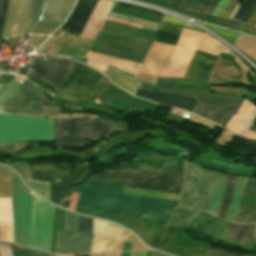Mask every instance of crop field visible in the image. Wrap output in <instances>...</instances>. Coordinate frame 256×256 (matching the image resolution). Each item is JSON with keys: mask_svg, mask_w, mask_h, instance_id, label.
<instances>
[{"mask_svg": "<svg viewBox=\"0 0 256 256\" xmlns=\"http://www.w3.org/2000/svg\"><path fill=\"white\" fill-rule=\"evenodd\" d=\"M175 226L170 224H165L153 243L151 244L152 247H155L161 251H163L167 241L169 240Z\"/></svg>", "mask_w": 256, "mask_h": 256, "instance_id": "37", "label": "crop field"}, {"mask_svg": "<svg viewBox=\"0 0 256 256\" xmlns=\"http://www.w3.org/2000/svg\"><path fill=\"white\" fill-rule=\"evenodd\" d=\"M10 249L13 256H55L53 254L34 252L28 249L18 248L14 246H10Z\"/></svg>", "mask_w": 256, "mask_h": 256, "instance_id": "47", "label": "crop field"}, {"mask_svg": "<svg viewBox=\"0 0 256 256\" xmlns=\"http://www.w3.org/2000/svg\"><path fill=\"white\" fill-rule=\"evenodd\" d=\"M183 28L160 23L153 40L175 45Z\"/></svg>", "mask_w": 256, "mask_h": 256, "instance_id": "27", "label": "crop field"}, {"mask_svg": "<svg viewBox=\"0 0 256 256\" xmlns=\"http://www.w3.org/2000/svg\"><path fill=\"white\" fill-rule=\"evenodd\" d=\"M255 118L256 107L251 102L244 99L238 112L229 120L225 128L235 135L244 137ZM245 138L256 140V132L248 130Z\"/></svg>", "mask_w": 256, "mask_h": 256, "instance_id": "14", "label": "crop field"}, {"mask_svg": "<svg viewBox=\"0 0 256 256\" xmlns=\"http://www.w3.org/2000/svg\"><path fill=\"white\" fill-rule=\"evenodd\" d=\"M241 102L201 95L193 113L219 124H226Z\"/></svg>", "mask_w": 256, "mask_h": 256, "instance_id": "9", "label": "crop field"}, {"mask_svg": "<svg viewBox=\"0 0 256 256\" xmlns=\"http://www.w3.org/2000/svg\"><path fill=\"white\" fill-rule=\"evenodd\" d=\"M210 0H201V2L198 4V6L195 8L196 11L203 12L206 5L208 4Z\"/></svg>", "mask_w": 256, "mask_h": 256, "instance_id": "65", "label": "crop field"}, {"mask_svg": "<svg viewBox=\"0 0 256 256\" xmlns=\"http://www.w3.org/2000/svg\"><path fill=\"white\" fill-rule=\"evenodd\" d=\"M81 139L91 138L90 120L80 119Z\"/></svg>", "mask_w": 256, "mask_h": 256, "instance_id": "54", "label": "crop field"}, {"mask_svg": "<svg viewBox=\"0 0 256 256\" xmlns=\"http://www.w3.org/2000/svg\"><path fill=\"white\" fill-rule=\"evenodd\" d=\"M229 2V0H220L214 10L211 12L212 15L219 16L225 5Z\"/></svg>", "mask_w": 256, "mask_h": 256, "instance_id": "61", "label": "crop field"}, {"mask_svg": "<svg viewBox=\"0 0 256 256\" xmlns=\"http://www.w3.org/2000/svg\"><path fill=\"white\" fill-rule=\"evenodd\" d=\"M238 0H230V2L227 4V6L224 8L222 13L220 14L221 17L228 18L234 7L236 6Z\"/></svg>", "mask_w": 256, "mask_h": 256, "instance_id": "60", "label": "crop field"}, {"mask_svg": "<svg viewBox=\"0 0 256 256\" xmlns=\"http://www.w3.org/2000/svg\"><path fill=\"white\" fill-rule=\"evenodd\" d=\"M95 198L96 195L80 193L75 211L92 216Z\"/></svg>", "mask_w": 256, "mask_h": 256, "instance_id": "34", "label": "crop field"}, {"mask_svg": "<svg viewBox=\"0 0 256 256\" xmlns=\"http://www.w3.org/2000/svg\"><path fill=\"white\" fill-rule=\"evenodd\" d=\"M112 125L102 121L91 120L92 140L102 139L103 135L110 130Z\"/></svg>", "mask_w": 256, "mask_h": 256, "instance_id": "42", "label": "crop field"}, {"mask_svg": "<svg viewBox=\"0 0 256 256\" xmlns=\"http://www.w3.org/2000/svg\"><path fill=\"white\" fill-rule=\"evenodd\" d=\"M116 5L121 6V7L130 8V9H132L134 11H138V12L149 13V14L160 16V17L162 16L161 13L153 11V10H149V9H146V8L136 7V6L120 3V2H117Z\"/></svg>", "mask_w": 256, "mask_h": 256, "instance_id": "55", "label": "crop field"}, {"mask_svg": "<svg viewBox=\"0 0 256 256\" xmlns=\"http://www.w3.org/2000/svg\"><path fill=\"white\" fill-rule=\"evenodd\" d=\"M85 168L78 165L75 174L62 182H51V201L60 205L61 204V188L72 184L80 179Z\"/></svg>", "mask_w": 256, "mask_h": 256, "instance_id": "28", "label": "crop field"}, {"mask_svg": "<svg viewBox=\"0 0 256 256\" xmlns=\"http://www.w3.org/2000/svg\"><path fill=\"white\" fill-rule=\"evenodd\" d=\"M156 221L155 218L148 217L146 215L143 216V218L139 221V223L134 227L133 231L141 238H145L147 233L149 232L150 228Z\"/></svg>", "mask_w": 256, "mask_h": 256, "instance_id": "40", "label": "crop field"}, {"mask_svg": "<svg viewBox=\"0 0 256 256\" xmlns=\"http://www.w3.org/2000/svg\"><path fill=\"white\" fill-rule=\"evenodd\" d=\"M41 105L59 106L47 101L31 82L24 80L3 112L39 116Z\"/></svg>", "mask_w": 256, "mask_h": 256, "instance_id": "7", "label": "crop field"}, {"mask_svg": "<svg viewBox=\"0 0 256 256\" xmlns=\"http://www.w3.org/2000/svg\"><path fill=\"white\" fill-rule=\"evenodd\" d=\"M163 223H164V221L157 219V221L155 222V224L153 225V227L151 228L150 232L148 233V235L146 236V238L144 239L143 242H145L146 244H148L150 246L151 242L155 238L159 229L162 227Z\"/></svg>", "mask_w": 256, "mask_h": 256, "instance_id": "50", "label": "crop field"}, {"mask_svg": "<svg viewBox=\"0 0 256 256\" xmlns=\"http://www.w3.org/2000/svg\"><path fill=\"white\" fill-rule=\"evenodd\" d=\"M74 0H41L36 21L62 22Z\"/></svg>", "mask_w": 256, "mask_h": 256, "instance_id": "16", "label": "crop field"}, {"mask_svg": "<svg viewBox=\"0 0 256 256\" xmlns=\"http://www.w3.org/2000/svg\"><path fill=\"white\" fill-rule=\"evenodd\" d=\"M74 64L75 61L68 58L50 56L48 63L38 64L30 78L51 86L52 90L57 92Z\"/></svg>", "mask_w": 256, "mask_h": 256, "instance_id": "11", "label": "crop field"}, {"mask_svg": "<svg viewBox=\"0 0 256 256\" xmlns=\"http://www.w3.org/2000/svg\"><path fill=\"white\" fill-rule=\"evenodd\" d=\"M236 178L237 177H233V176L229 175L228 180H227L224 196L222 199V203H221V207H220V211H219V215H218L219 217H221L223 219L226 218V214L228 211V207H229V203H230L231 196L233 193Z\"/></svg>", "mask_w": 256, "mask_h": 256, "instance_id": "35", "label": "crop field"}, {"mask_svg": "<svg viewBox=\"0 0 256 256\" xmlns=\"http://www.w3.org/2000/svg\"><path fill=\"white\" fill-rule=\"evenodd\" d=\"M94 177L118 182L125 184L124 187L176 193L179 194L181 184L161 182V181H150V180H135V179H120V178H111L103 175L94 174Z\"/></svg>", "mask_w": 256, "mask_h": 256, "instance_id": "19", "label": "crop field"}, {"mask_svg": "<svg viewBox=\"0 0 256 256\" xmlns=\"http://www.w3.org/2000/svg\"><path fill=\"white\" fill-rule=\"evenodd\" d=\"M184 169L185 177L179 206L206 212L217 172L208 171L187 160H184Z\"/></svg>", "mask_w": 256, "mask_h": 256, "instance_id": "4", "label": "crop field"}, {"mask_svg": "<svg viewBox=\"0 0 256 256\" xmlns=\"http://www.w3.org/2000/svg\"><path fill=\"white\" fill-rule=\"evenodd\" d=\"M192 210L189 209H181L174 207L171 215L167 219V222L178 225L180 227L185 228L187 221L191 215Z\"/></svg>", "mask_w": 256, "mask_h": 256, "instance_id": "36", "label": "crop field"}, {"mask_svg": "<svg viewBox=\"0 0 256 256\" xmlns=\"http://www.w3.org/2000/svg\"><path fill=\"white\" fill-rule=\"evenodd\" d=\"M122 193L139 195V196H147V197H156V198H164L170 200L178 201L179 195L175 194H167V193H159V192H151V191H143V190H135V189H127L123 188Z\"/></svg>", "mask_w": 256, "mask_h": 256, "instance_id": "39", "label": "crop field"}, {"mask_svg": "<svg viewBox=\"0 0 256 256\" xmlns=\"http://www.w3.org/2000/svg\"><path fill=\"white\" fill-rule=\"evenodd\" d=\"M197 23H199V22H197ZM199 24H201L204 27L210 29L211 31L215 32L216 34L222 36L228 42H230L232 45H233L235 39L238 36V33H235V32H231V31H228V30H225V29H222V28H218V27L207 25V24H203V23H199Z\"/></svg>", "mask_w": 256, "mask_h": 256, "instance_id": "43", "label": "crop field"}, {"mask_svg": "<svg viewBox=\"0 0 256 256\" xmlns=\"http://www.w3.org/2000/svg\"><path fill=\"white\" fill-rule=\"evenodd\" d=\"M92 236L77 233V215L66 211L65 232L59 231L56 253H89Z\"/></svg>", "mask_w": 256, "mask_h": 256, "instance_id": "8", "label": "crop field"}, {"mask_svg": "<svg viewBox=\"0 0 256 256\" xmlns=\"http://www.w3.org/2000/svg\"><path fill=\"white\" fill-rule=\"evenodd\" d=\"M250 130L256 131V123L253 122L252 126L250 127Z\"/></svg>", "mask_w": 256, "mask_h": 256, "instance_id": "71", "label": "crop field"}, {"mask_svg": "<svg viewBox=\"0 0 256 256\" xmlns=\"http://www.w3.org/2000/svg\"><path fill=\"white\" fill-rule=\"evenodd\" d=\"M0 240L14 243L11 198L0 199Z\"/></svg>", "mask_w": 256, "mask_h": 256, "instance_id": "25", "label": "crop field"}, {"mask_svg": "<svg viewBox=\"0 0 256 256\" xmlns=\"http://www.w3.org/2000/svg\"><path fill=\"white\" fill-rule=\"evenodd\" d=\"M87 141L90 140H60L55 139L57 145L73 146V147H83L86 146Z\"/></svg>", "mask_w": 256, "mask_h": 256, "instance_id": "51", "label": "crop field"}, {"mask_svg": "<svg viewBox=\"0 0 256 256\" xmlns=\"http://www.w3.org/2000/svg\"><path fill=\"white\" fill-rule=\"evenodd\" d=\"M130 252L121 253L120 256H128Z\"/></svg>", "mask_w": 256, "mask_h": 256, "instance_id": "73", "label": "crop field"}, {"mask_svg": "<svg viewBox=\"0 0 256 256\" xmlns=\"http://www.w3.org/2000/svg\"><path fill=\"white\" fill-rule=\"evenodd\" d=\"M241 31L256 36V28L242 25Z\"/></svg>", "mask_w": 256, "mask_h": 256, "instance_id": "63", "label": "crop field"}, {"mask_svg": "<svg viewBox=\"0 0 256 256\" xmlns=\"http://www.w3.org/2000/svg\"><path fill=\"white\" fill-rule=\"evenodd\" d=\"M103 175L120 178L150 179L181 183L182 175L151 172V171H126V172H103Z\"/></svg>", "mask_w": 256, "mask_h": 256, "instance_id": "23", "label": "crop field"}, {"mask_svg": "<svg viewBox=\"0 0 256 256\" xmlns=\"http://www.w3.org/2000/svg\"><path fill=\"white\" fill-rule=\"evenodd\" d=\"M189 2H190V0H182V2L179 4V7L186 9Z\"/></svg>", "mask_w": 256, "mask_h": 256, "instance_id": "69", "label": "crop field"}, {"mask_svg": "<svg viewBox=\"0 0 256 256\" xmlns=\"http://www.w3.org/2000/svg\"><path fill=\"white\" fill-rule=\"evenodd\" d=\"M55 138L68 139L67 119H54Z\"/></svg>", "mask_w": 256, "mask_h": 256, "instance_id": "45", "label": "crop field"}, {"mask_svg": "<svg viewBox=\"0 0 256 256\" xmlns=\"http://www.w3.org/2000/svg\"><path fill=\"white\" fill-rule=\"evenodd\" d=\"M24 180L30 188L48 198L49 182L27 179Z\"/></svg>", "mask_w": 256, "mask_h": 256, "instance_id": "44", "label": "crop field"}, {"mask_svg": "<svg viewBox=\"0 0 256 256\" xmlns=\"http://www.w3.org/2000/svg\"><path fill=\"white\" fill-rule=\"evenodd\" d=\"M158 256H168V255H165V254L159 252Z\"/></svg>", "mask_w": 256, "mask_h": 256, "instance_id": "74", "label": "crop field"}, {"mask_svg": "<svg viewBox=\"0 0 256 256\" xmlns=\"http://www.w3.org/2000/svg\"><path fill=\"white\" fill-rule=\"evenodd\" d=\"M203 33L183 29L162 76L183 78Z\"/></svg>", "mask_w": 256, "mask_h": 256, "instance_id": "6", "label": "crop field"}, {"mask_svg": "<svg viewBox=\"0 0 256 256\" xmlns=\"http://www.w3.org/2000/svg\"><path fill=\"white\" fill-rule=\"evenodd\" d=\"M65 211L54 207L50 252L55 253L58 230L64 231Z\"/></svg>", "mask_w": 256, "mask_h": 256, "instance_id": "31", "label": "crop field"}, {"mask_svg": "<svg viewBox=\"0 0 256 256\" xmlns=\"http://www.w3.org/2000/svg\"><path fill=\"white\" fill-rule=\"evenodd\" d=\"M177 204L175 201L122 194L118 206L166 221Z\"/></svg>", "mask_w": 256, "mask_h": 256, "instance_id": "10", "label": "crop field"}, {"mask_svg": "<svg viewBox=\"0 0 256 256\" xmlns=\"http://www.w3.org/2000/svg\"><path fill=\"white\" fill-rule=\"evenodd\" d=\"M254 226L255 225H240L230 222L227 236L251 240Z\"/></svg>", "mask_w": 256, "mask_h": 256, "instance_id": "33", "label": "crop field"}, {"mask_svg": "<svg viewBox=\"0 0 256 256\" xmlns=\"http://www.w3.org/2000/svg\"><path fill=\"white\" fill-rule=\"evenodd\" d=\"M135 96L192 112L196 99L169 95L138 87Z\"/></svg>", "mask_w": 256, "mask_h": 256, "instance_id": "17", "label": "crop field"}, {"mask_svg": "<svg viewBox=\"0 0 256 256\" xmlns=\"http://www.w3.org/2000/svg\"><path fill=\"white\" fill-rule=\"evenodd\" d=\"M33 170H42V171H52V172H61L59 168L53 163L45 164H31Z\"/></svg>", "mask_w": 256, "mask_h": 256, "instance_id": "53", "label": "crop field"}, {"mask_svg": "<svg viewBox=\"0 0 256 256\" xmlns=\"http://www.w3.org/2000/svg\"><path fill=\"white\" fill-rule=\"evenodd\" d=\"M13 172V171H12ZM10 171L15 243L27 247L29 191ZM9 169L0 165V198L11 197ZM53 205L32 193L28 247L49 251Z\"/></svg>", "mask_w": 256, "mask_h": 256, "instance_id": "1", "label": "crop field"}, {"mask_svg": "<svg viewBox=\"0 0 256 256\" xmlns=\"http://www.w3.org/2000/svg\"><path fill=\"white\" fill-rule=\"evenodd\" d=\"M97 1L98 0H78L66 23L60 30L80 36Z\"/></svg>", "mask_w": 256, "mask_h": 256, "instance_id": "15", "label": "crop field"}, {"mask_svg": "<svg viewBox=\"0 0 256 256\" xmlns=\"http://www.w3.org/2000/svg\"><path fill=\"white\" fill-rule=\"evenodd\" d=\"M140 86L149 88V89H153V90H157V91H161V92L183 95V96L194 97V98H198V95H199V92L201 89V88H197V87L178 86L176 90H173V89H167V88L150 85V84L143 83V82H141Z\"/></svg>", "mask_w": 256, "mask_h": 256, "instance_id": "30", "label": "crop field"}, {"mask_svg": "<svg viewBox=\"0 0 256 256\" xmlns=\"http://www.w3.org/2000/svg\"><path fill=\"white\" fill-rule=\"evenodd\" d=\"M207 256H255L252 254H248V255H240V254H236V253H232V252H228V251H223V250H219V249H215V248H209Z\"/></svg>", "mask_w": 256, "mask_h": 256, "instance_id": "52", "label": "crop field"}, {"mask_svg": "<svg viewBox=\"0 0 256 256\" xmlns=\"http://www.w3.org/2000/svg\"><path fill=\"white\" fill-rule=\"evenodd\" d=\"M85 57L113 59V60H119V61H128V60H124V59H120V58H116V57H112V56H108V55H103V54H99V53H95V52H91V51H88L87 54L85 55ZM128 62H131V61H128ZM132 63H135V62H132ZM135 64H139V63H135Z\"/></svg>", "mask_w": 256, "mask_h": 256, "instance_id": "59", "label": "crop field"}, {"mask_svg": "<svg viewBox=\"0 0 256 256\" xmlns=\"http://www.w3.org/2000/svg\"><path fill=\"white\" fill-rule=\"evenodd\" d=\"M256 8V0H245L239 7L233 19L246 23Z\"/></svg>", "mask_w": 256, "mask_h": 256, "instance_id": "38", "label": "crop field"}, {"mask_svg": "<svg viewBox=\"0 0 256 256\" xmlns=\"http://www.w3.org/2000/svg\"><path fill=\"white\" fill-rule=\"evenodd\" d=\"M228 223L210 214L193 210L186 229L215 240L223 241Z\"/></svg>", "mask_w": 256, "mask_h": 256, "instance_id": "12", "label": "crop field"}, {"mask_svg": "<svg viewBox=\"0 0 256 256\" xmlns=\"http://www.w3.org/2000/svg\"><path fill=\"white\" fill-rule=\"evenodd\" d=\"M56 173L31 172L32 179L51 181Z\"/></svg>", "mask_w": 256, "mask_h": 256, "instance_id": "57", "label": "crop field"}, {"mask_svg": "<svg viewBox=\"0 0 256 256\" xmlns=\"http://www.w3.org/2000/svg\"><path fill=\"white\" fill-rule=\"evenodd\" d=\"M131 245L130 243H124V247H123V250L122 251H126V250H130L131 249Z\"/></svg>", "mask_w": 256, "mask_h": 256, "instance_id": "70", "label": "crop field"}, {"mask_svg": "<svg viewBox=\"0 0 256 256\" xmlns=\"http://www.w3.org/2000/svg\"><path fill=\"white\" fill-rule=\"evenodd\" d=\"M78 232L92 233V219L78 215Z\"/></svg>", "mask_w": 256, "mask_h": 256, "instance_id": "49", "label": "crop field"}, {"mask_svg": "<svg viewBox=\"0 0 256 256\" xmlns=\"http://www.w3.org/2000/svg\"><path fill=\"white\" fill-rule=\"evenodd\" d=\"M100 75V73L76 62L56 95L70 100L90 98Z\"/></svg>", "mask_w": 256, "mask_h": 256, "instance_id": "5", "label": "crop field"}, {"mask_svg": "<svg viewBox=\"0 0 256 256\" xmlns=\"http://www.w3.org/2000/svg\"><path fill=\"white\" fill-rule=\"evenodd\" d=\"M246 179L247 178H241V177L237 178L234 193L232 196V200H231L229 211H228L227 218H226L227 220H230L232 222L235 221V217H236L239 203H240V200L242 197Z\"/></svg>", "mask_w": 256, "mask_h": 256, "instance_id": "29", "label": "crop field"}, {"mask_svg": "<svg viewBox=\"0 0 256 256\" xmlns=\"http://www.w3.org/2000/svg\"><path fill=\"white\" fill-rule=\"evenodd\" d=\"M247 24H251L256 26V10L254 11V13L252 14V16L249 18V20L247 21Z\"/></svg>", "mask_w": 256, "mask_h": 256, "instance_id": "66", "label": "crop field"}, {"mask_svg": "<svg viewBox=\"0 0 256 256\" xmlns=\"http://www.w3.org/2000/svg\"><path fill=\"white\" fill-rule=\"evenodd\" d=\"M162 22H166V23H170V24H174V25H178V26H182V27H186V28L196 29V28L186 24V22L178 20V19H175V18L170 17L168 15H164V17L162 19Z\"/></svg>", "mask_w": 256, "mask_h": 256, "instance_id": "56", "label": "crop field"}, {"mask_svg": "<svg viewBox=\"0 0 256 256\" xmlns=\"http://www.w3.org/2000/svg\"><path fill=\"white\" fill-rule=\"evenodd\" d=\"M74 59H76V60H79V61H82V62H86V60H87V58H74Z\"/></svg>", "mask_w": 256, "mask_h": 256, "instance_id": "72", "label": "crop field"}, {"mask_svg": "<svg viewBox=\"0 0 256 256\" xmlns=\"http://www.w3.org/2000/svg\"><path fill=\"white\" fill-rule=\"evenodd\" d=\"M154 32L107 21L91 50L141 62Z\"/></svg>", "mask_w": 256, "mask_h": 256, "instance_id": "2", "label": "crop field"}, {"mask_svg": "<svg viewBox=\"0 0 256 256\" xmlns=\"http://www.w3.org/2000/svg\"><path fill=\"white\" fill-rule=\"evenodd\" d=\"M200 0H192L191 3L188 6V9H192L194 10V8L196 7V5L198 4Z\"/></svg>", "mask_w": 256, "mask_h": 256, "instance_id": "68", "label": "crop field"}, {"mask_svg": "<svg viewBox=\"0 0 256 256\" xmlns=\"http://www.w3.org/2000/svg\"><path fill=\"white\" fill-rule=\"evenodd\" d=\"M119 199L104 196L96 198L95 210L93 216L106 218L117 222L125 209L117 207Z\"/></svg>", "mask_w": 256, "mask_h": 256, "instance_id": "24", "label": "crop field"}, {"mask_svg": "<svg viewBox=\"0 0 256 256\" xmlns=\"http://www.w3.org/2000/svg\"><path fill=\"white\" fill-rule=\"evenodd\" d=\"M151 170L182 174L181 161H143L107 169L106 171Z\"/></svg>", "mask_w": 256, "mask_h": 256, "instance_id": "20", "label": "crop field"}, {"mask_svg": "<svg viewBox=\"0 0 256 256\" xmlns=\"http://www.w3.org/2000/svg\"><path fill=\"white\" fill-rule=\"evenodd\" d=\"M0 255L1 256H11L10 249L8 245L0 244Z\"/></svg>", "mask_w": 256, "mask_h": 256, "instance_id": "62", "label": "crop field"}, {"mask_svg": "<svg viewBox=\"0 0 256 256\" xmlns=\"http://www.w3.org/2000/svg\"><path fill=\"white\" fill-rule=\"evenodd\" d=\"M54 140L53 119L0 113V144Z\"/></svg>", "mask_w": 256, "mask_h": 256, "instance_id": "3", "label": "crop field"}, {"mask_svg": "<svg viewBox=\"0 0 256 256\" xmlns=\"http://www.w3.org/2000/svg\"><path fill=\"white\" fill-rule=\"evenodd\" d=\"M122 187H123L122 184L105 181V180L92 177L89 182H86L70 190L119 198Z\"/></svg>", "mask_w": 256, "mask_h": 256, "instance_id": "21", "label": "crop field"}, {"mask_svg": "<svg viewBox=\"0 0 256 256\" xmlns=\"http://www.w3.org/2000/svg\"><path fill=\"white\" fill-rule=\"evenodd\" d=\"M217 176L218 177H216V182L214 184L208 211L206 210L207 212L213 213L215 215H218V211H219V207H220V203H221V199H222V195L224 192V188H225V184H226L228 175L218 172Z\"/></svg>", "mask_w": 256, "mask_h": 256, "instance_id": "26", "label": "crop field"}, {"mask_svg": "<svg viewBox=\"0 0 256 256\" xmlns=\"http://www.w3.org/2000/svg\"><path fill=\"white\" fill-rule=\"evenodd\" d=\"M215 59L216 56L196 51L184 78L207 80Z\"/></svg>", "mask_w": 256, "mask_h": 256, "instance_id": "22", "label": "crop field"}, {"mask_svg": "<svg viewBox=\"0 0 256 256\" xmlns=\"http://www.w3.org/2000/svg\"><path fill=\"white\" fill-rule=\"evenodd\" d=\"M219 0H211L209 2V4L207 5L206 9L204 10V13H208L210 14V12L212 11V9L215 7V5L217 4Z\"/></svg>", "mask_w": 256, "mask_h": 256, "instance_id": "64", "label": "crop field"}, {"mask_svg": "<svg viewBox=\"0 0 256 256\" xmlns=\"http://www.w3.org/2000/svg\"><path fill=\"white\" fill-rule=\"evenodd\" d=\"M209 244L194 240L184 232L175 230L165 252L175 256H205Z\"/></svg>", "mask_w": 256, "mask_h": 256, "instance_id": "13", "label": "crop field"}, {"mask_svg": "<svg viewBox=\"0 0 256 256\" xmlns=\"http://www.w3.org/2000/svg\"><path fill=\"white\" fill-rule=\"evenodd\" d=\"M69 139H80L79 119H68Z\"/></svg>", "mask_w": 256, "mask_h": 256, "instance_id": "48", "label": "crop field"}, {"mask_svg": "<svg viewBox=\"0 0 256 256\" xmlns=\"http://www.w3.org/2000/svg\"><path fill=\"white\" fill-rule=\"evenodd\" d=\"M253 238H256V227H255Z\"/></svg>", "mask_w": 256, "mask_h": 256, "instance_id": "75", "label": "crop field"}, {"mask_svg": "<svg viewBox=\"0 0 256 256\" xmlns=\"http://www.w3.org/2000/svg\"><path fill=\"white\" fill-rule=\"evenodd\" d=\"M147 252H143V251H134L131 252L129 256H146Z\"/></svg>", "mask_w": 256, "mask_h": 256, "instance_id": "67", "label": "crop field"}, {"mask_svg": "<svg viewBox=\"0 0 256 256\" xmlns=\"http://www.w3.org/2000/svg\"><path fill=\"white\" fill-rule=\"evenodd\" d=\"M8 0H0V37L3 28L4 18L6 14Z\"/></svg>", "mask_w": 256, "mask_h": 256, "instance_id": "58", "label": "crop field"}, {"mask_svg": "<svg viewBox=\"0 0 256 256\" xmlns=\"http://www.w3.org/2000/svg\"><path fill=\"white\" fill-rule=\"evenodd\" d=\"M87 64L99 69L100 71H104L105 68L110 65L115 68H118L122 71L128 72L132 75L135 74L138 66H132L124 63H119V62H113V61H103V60H95V59H88Z\"/></svg>", "mask_w": 256, "mask_h": 256, "instance_id": "32", "label": "crop field"}, {"mask_svg": "<svg viewBox=\"0 0 256 256\" xmlns=\"http://www.w3.org/2000/svg\"><path fill=\"white\" fill-rule=\"evenodd\" d=\"M19 86L20 84L11 81L7 86L2 85L0 87V112H2L4 104H7V101Z\"/></svg>", "mask_w": 256, "mask_h": 256, "instance_id": "41", "label": "crop field"}, {"mask_svg": "<svg viewBox=\"0 0 256 256\" xmlns=\"http://www.w3.org/2000/svg\"><path fill=\"white\" fill-rule=\"evenodd\" d=\"M111 16L116 17V18H120V19H124V20H128V21H132V22H135V23H139V24H141L142 28L153 30V31H155L157 26H158L157 23L144 21V20H140V19H136V18H132V17H127V16H123V15H118V14H114V13H112Z\"/></svg>", "mask_w": 256, "mask_h": 256, "instance_id": "46", "label": "crop field"}, {"mask_svg": "<svg viewBox=\"0 0 256 256\" xmlns=\"http://www.w3.org/2000/svg\"><path fill=\"white\" fill-rule=\"evenodd\" d=\"M139 1H143L146 3L161 6L168 10H171V11H174V12L192 17V18L213 22V23L223 25V26L240 31V23H238V22H234L231 20L218 18V17H214V16H209V15H205V14H200V13L184 10V9L177 7V5L179 4V2L181 0H139Z\"/></svg>", "mask_w": 256, "mask_h": 256, "instance_id": "18", "label": "crop field"}]
</instances>
